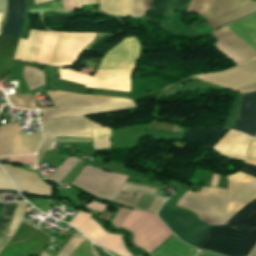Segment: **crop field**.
Instances as JSON below:
<instances>
[{
	"mask_svg": "<svg viewBox=\"0 0 256 256\" xmlns=\"http://www.w3.org/2000/svg\"><path fill=\"white\" fill-rule=\"evenodd\" d=\"M1 166L20 191L35 193L37 195L51 194V186L41 181L36 173L24 171L21 168L6 164H2Z\"/></svg>",
	"mask_w": 256,
	"mask_h": 256,
	"instance_id": "22f410ed",
	"label": "crop field"
},
{
	"mask_svg": "<svg viewBox=\"0 0 256 256\" xmlns=\"http://www.w3.org/2000/svg\"><path fill=\"white\" fill-rule=\"evenodd\" d=\"M91 123V132H92V140H93V148L103 149L110 148L111 143L109 140L111 129L98 124L92 120Z\"/></svg>",
	"mask_w": 256,
	"mask_h": 256,
	"instance_id": "730fd06b",
	"label": "crop field"
},
{
	"mask_svg": "<svg viewBox=\"0 0 256 256\" xmlns=\"http://www.w3.org/2000/svg\"><path fill=\"white\" fill-rule=\"evenodd\" d=\"M228 30L256 50V12L225 25ZM211 33L219 41L214 45L236 65L256 57V51L226 28Z\"/></svg>",
	"mask_w": 256,
	"mask_h": 256,
	"instance_id": "f4fd0767",
	"label": "crop field"
},
{
	"mask_svg": "<svg viewBox=\"0 0 256 256\" xmlns=\"http://www.w3.org/2000/svg\"><path fill=\"white\" fill-rule=\"evenodd\" d=\"M23 77L28 85L29 90L44 85V73L28 66H24Z\"/></svg>",
	"mask_w": 256,
	"mask_h": 256,
	"instance_id": "eef30255",
	"label": "crop field"
},
{
	"mask_svg": "<svg viewBox=\"0 0 256 256\" xmlns=\"http://www.w3.org/2000/svg\"><path fill=\"white\" fill-rule=\"evenodd\" d=\"M47 94L55 107L39 110V113L43 112V117L40 120L136 108L132 99L89 96L60 91H47Z\"/></svg>",
	"mask_w": 256,
	"mask_h": 256,
	"instance_id": "412701ff",
	"label": "crop field"
},
{
	"mask_svg": "<svg viewBox=\"0 0 256 256\" xmlns=\"http://www.w3.org/2000/svg\"><path fill=\"white\" fill-rule=\"evenodd\" d=\"M240 121L232 128L256 136V92L244 94L240 107Z\"/></svg>",
	"mask_w": 256,
	"mask_h": 256,
	"instance_id": "4a817a6b",
	"label": "crop field"
},
{
	"mask_svg": "<svg viewBox=\"0 0 256 256\" xmlns=\"http://www.w3.org/2000/svg\"><path fill=\"white\" fill-rule=\"evenodd\" d=\"M65 11H70L75 9L73 0H64ZM63 0H54L51 2L41 3L35 5L32 9H44V10H55L64 11Z\"/></svg>",
	"mask_w": 256,
	"mask_h": 256,
	"instance_id": "d3111659",
	"label": "crop field"
},
{
	"mask_svg": "<svg viewBox=\"0 0 256 256\" xmlns=\"http://www.w3.org/2000/svg\"><path fill=\"white\" fill-rule=\"evenodd\" d=\"M254 249V248H253ZM250 256H256V247L255 249L252 251V253L250 254Z\"/></svg>",
	"mask_w": 256,
	"mask_h": 256,
	"instance_id": "89e229c0",
	"label": "crop field"
},
{
	"mask_svg": "<svg viewBox=\"0 0 256 256\" xmlns=\"http://www.w3.org/2000/svg\"><path fill=\"white\" fill-rule=\"evenodd\" d=\"M18 40L17 38L0 34V73L12 63Z\"/></svg>",
	"mask_w": 256,
	"mask_h": 256,
	"instance_id": "a9b5d70f",
	"label": "crop field"
},
{
	"mask_svg": "<svg viewBox=\"0 0 256 256\" xmlns=\"http://www.w3.org/2000/svg\"><path fill=\"white\" fill-rule=\"evenodd\" d=\"M155 198L156 196L144 192L135 209L148 211Z\"/></svg>",
	"mask_w": 256,
	"mask_h": 256,
	"instance_id": "d32e631a",
	"label": "crop field"
},
{
	"mask_svg": "<svg viewBox=\"0 0 256 256\" xmlns=\"http://www.w3.org/2000/svg\"><path fill=\"white\" fill-rule=\"evenodd\" d=\"M131 211V209L123 208L121 207L120 211L116 215V217L113 219L112 223L113 225L118 228L123 219L128 215V213Z\"/></svg>",
	"mask_w": 256,
	"mask_h": 256,
	"instance_id": "b80d0937",
	"label": "crop field"
},
{
	"mask_svg": "<svg viewBox=\"0 0 256 256\" xmlns=\"http://www.w3.org/2000/svg\"><path fill=\"white\" fill-rule=\"evenodd\" d=\"M52 140L53 138H45L38 153H37V158H36V162H40L42 156L44 155L46 150L50 149V146L52 144Z\"/></svg>",
	"mask_w": 256,
	"mask_h": 256,
	"instance_id": "0bd39190",
	"label": "crop field"
},
{
	"mask_svg": "<svg viewBox=\"0 0 256 256\" xmlns=\"http://www.w3.org/2000/svg\"><path fill=\"white\" fill-rule=\"evenodd\" d=\"M134 66L114 69L96 70L93 77L59 68V79L86 84L85 87L129 91L130 75Z\"/></svg>",
	"mask_w": 256,
	"mask_h": 256,
	"instance_id": "d8731c3e",
	"label": "crop field"
},
{
	"mask_svg": "<svg viewBox=\"0 0 256 256\" xmlns=\"http://www.w3.org/2000/svg\"><path fill=\"white\" fill-rule=\"evenodd\" d=\"M12 106L24 109H37L31 94H17L7 96Z\"/></svg>",
	"mask_w": 256,
	"mask_h": 256,
	"instance_id": "ae1a2a85",
	"label": "crop field"
},
{
	"mask_svg": "<svg viewBox=\"0 0 256 256\" xmlns=\"http://www.w3.org/2000/svg\"><path fill=\"white\" fill-rule=\"evenodd\" d=\"M3 189H10L15 190L13 185L10 183L6 175L3 173V171L0 169V190Z\"/></svg>",
	"mask_w": 256,
	"mask_h": 256,
	"instance_id": "c035e120",
	"label": "crop field"
},
{
	"mask_svg": "<svg viewBox=\"0 0 256 256\" xmlns=\"http://www.w3.org/2000/svg\"><path fill=\"white\" fill-rule=\"evenodd\" d=\"M25 0H7V14L1 33L19 37L24 24Z\"/></svg>",
	"mask_w": 256,
	"mask_h": 256,
	"instance_id": "bc2a9ffb",
	"label": "crop field"
},
{
	"mask_svg": "<svg viewBox=\"0 0 256 256\" xmlns=\"http://www.w3.org/2000/svg\"><path fill=\"white\" fill-rule=\"evenodd\" d=\"M46 1H51V0H35V4L41 3V2H46Z\"/></svg>",
	"mask_w": 256,
	"mask_h": 256,
	"instance_id": "73cf0c24",
	"label": "crop field"
},
{
	"mask_svg": "<svg viewBox=\"0 0 256 256\" xmlns=\"http://www.w3.org/2000/svg\"><path fill=\"white\" fill-rule=\"evenodd\" d=\"M97 33L40 32L30 29L26 40H19L14 59L49 66H70L79 52Z\"/></svg>",
	"mask_w": 256,
	"mask_h": 256,
	"instance_id": "ac0d7876",
	"label": "crop field"
},
{
	"mask_svg": "<svg viewBox=\"0 0 256 256\" xmlns=\"http://www.w3.org/2000/svg\"><path fill=\"white\" fill-rule=\"evenodd\" d=\"M227 189L204 187L199 193L187 191L177 206L196 213L199 220L213 226L224 225ZM252 230L228 226H213L197 248L240 256Z\"/></svg>",
	"mask_w": 256,
	"mask_h": 256,
	"instance_id": "8a807250",
	"label": "crop field"
},
{
	"mask_svg": "<svg viewBox=\"0 0 256 256\" xmlns=\"http://www.w3.org/2000/svg\"><path fill=\"white\" fill-rule=\"evenodd\" d=\"M165 200H166V199L160 198V197L157 196L156 200L154 201V203L152 204L151 208L149 209V212L157 213L159 207L161 206V204H162Z\"/></svg>",
	"mask_w": 256,
	"mask_h": 256,
	"instance_id": "03da06ac",
	"label": "crop field"
},
{
	"mask_svg": "<svg viewBox=\"0 0 256 256\" xmlns=\"http://www.w3.org/2000/svg\"><path fill=\"white\" fill-rule=\"evenodd\" d=\"M250 2L252 0H191L187 11L202 15L210 23Z\"/></svg>",
	"mask_w": 256,
	"mask_h": 256,
	"instance_id": "d1516ede",
	"label": "crop field"
},
{
	"mask_svg": "<svg viewBox=\"0 0 256 256\" xmlns=\"http://www.w3.org/2000/svg\"><path fill=\"white\" fill-rule=\"evenodd\" d=\"M2 16H3V14H0V27H1V22H2Z\"/></svg>",
	"mask_w": 256,
	"mask_h": 256,
	"instance_id": "1f2cbd36",
	"label": "crop field"
},
{
	"mask_svg": "<svg viewBox=\"0 0 256 256\" xmlns=\"http://www.w3.org/2000/svg\"><path fill=\"white\" fill-rule=\"evenodd\" d=\"M159 218L175 233L179 239L196 247L211 226L176 210L164 209Z\"/></svg>",
	"mask_w": 256,
	"mask_h": 256,
	"instance_id": "5a996713",
	"label": "crop field"
},
{
	"mask_svg": "<svg viewBox=\"0 0 256 256\" xmlns=\"http://www.w3.org/2000/svg\"><path fill=\"white\" fill-rule=\"evenodd\" d=\"M90 215L79 211L76 216L73 218L70 224L74 225L75 227L79 228L88 218Z\"/></svg>",
	"mask_w": 256,
	"mask_h": 256,
	"instance_id": "e1f06a70",
	"label": "crop field"
},
{
	"mask_svg": "<svg viewBox=\"0 0 256 256\" xmlns=\"http://www.w3.org/2000/svg\"><path fill=\"white\" fill-rule=\"evenodd\" d=\"M133 235V243L148 253L172 233L155 214L132 210L120 225Z\"/></svg>",
	"mask_w": 256,
	"mask_h": 256,
	"instance_id": "dd49c442",
	"label": "crop field"
},
{
	"mask_svg": "<svg viewBox=\"0 0 256 256\" xmlns=\"http://www.w3.org/2000/svg\"><path fill=\"white\" fill-rule=\"evenodd\" d=\"M240 171H242L248 175H252V176L256 177V166H254V165L244 163V165L241 167Z\"/></svg>",
	"mask_w": 256,
	"mask_h": 256,
	"instance_id": "c21b1889",
	"label": "crop field"
},
{
	"mask_svg": "<svg viewBox=\"0 0 256 256\" xmlns=\"http://www.w3.org/2000/svg\"><path fill=\"white\" fill-rule=\"evenodd\" d=\"M87 207L92 208V209L100 212L103 209H105L107 206H104V205H102L100 203L93 202V203L87 205Z\"/></svg>",
	"mask_w": 256,
	"mask_h": 256,
	"instance_id": "b54c1fbb",
	"label": "crop field"
},
{
	"mask_svg": "<svg viewBox=\"0 0 256 256\" xmlns=\"http://www.w3.org/2000/svg\"><path fill=\"white\" fill-rule=\"evenodd\" d=\"M79 230L101 247H104L119 256H132L126 251L120 235L108 234L90 218Z\"/></svg>",
	"mask_w": 256,
	"mask_h": 256,
	"instance_id": "cbeb9de0",
	"label": "crop field"
},
{
	"mask_svg": "<svg viewBox=\"0 0 256 256\" xmlns=\"http://www.w3.org/2000/svg\"><path fill=\"white\" fill-rule=\"evenodd\" d=\"M128 176L85 166L71 183L102 198L113 200Z\"/></svg>",
	"mask_w": 256,
	"mask_h": 256,
	"instance_id": "e52e79f7",
	"label": "crop field"
},
{
	"mask_svg": "<svg viewBox=\"0 0 256 256\" xmlns=\"http://www.w3.org/2000/svg\"><path fill=\"white\" fill-rule=\"evenodd\" d=\"M26 206H27L26 203H17L16 209L14 211L6 236L13 237L14 233L16 232V230L18 229V227L20 226L24 218Z\"/></svg>",
	"mask_w": 256,
	"mask_h": 256,
	"instance_id": "750c4746",
	"label": "crop field"
},
{
	"mask_svg": "<svg viewBox=\"0 0 256 256\" xmlns=\"http://www.w3.org/2000/svg\"><path fill=\"white\" fill-rule=\"evenodd\" d=\"M245 162L256 165V139L249 145L248 156Z\"/></svg>",
	"mask_w": 256,
	"mask_h": 256,
	"instance_id": "028f5c9d",
	"label": "crop field"
},
{
	"mask_svg": "<svg viewBox=\"0 0 256 256\" xmlns=\"http://www.w3.org/2000/svg\"><path fill=\"white\" fill-rule=\"evenodd\" d=\"M254 139L248 135L230 130L212 150L239 160H244L249 142Z\"/></svg>",
	"mask_w": 256,
	"mask_h": 256,
	"instance_id": "d9b57169",
	"label": "crop field"
},
{
	"mask_svg": "<svg viewBox=\"0 0 256 256\" xmlns=\"http://www.w3.org/2000/svg\"><path fill=\"white\" fill-rule=\"evenodd\" d=\"M152 0H99L104 12L120 16H144Z\"/></svg>",
	"mask_w": 256,
	"mask_h": 256,
	"instance_id": "733c2abd",
	"label": "crop field"
},
{
	"mask_svg": "<svg viewBox=\"0 0 256 256\" xmlns=\"http://www.w3.org/2000/svg\"><path fill=\"white\" fill-rule=\"evenodd\" d=\"M15 205H3L2 216H0V236H5Z\"/></svg>",
	"mask_w": 256,
	"mask_h": 256,
	"instance_id": "1d83c4d3",
	"label": "crop field"
},
{
	"mask_svg": "<svg viewBox=\"0 0 256 256\" xmlns=\"http://www.w3.org/2000/svg\"><path fill=\"white\" fill-rule=\"evenodd\" d=\"M196 256H222V255L213 254V253H209V252H205V251H200V253Z\"/></svg>",
	"mask_w": 256,
	"mask_h": 256,
	"instance_id": "425ffa30",
	"label": "crop field"
},
{
	"mask_svg": "<svg viewBox=\"0 0 256 256\" xmlns=\"http://www.w3.org/2000/svg\"><path fill=\"white\" fill-rule=\"evenodd\" d=\"M225 177L228 178L225 221H229L256 203V179L240 171ZM225 224L254 229L242 254L248 256L256 242V205L249 207Z\"/></svg>",
	"mask_w": 256,
	"mask_h": 256,
	"instance_id": "34b2d1b8",
	"label": "crop field"
},
{
	"mask_svg": "<svg viewBox=\"0 0 256 256\" xmlns=\"http://www.w3.org/2000/svg\"><path fill=\"white\" fill-rule=\"evenodd\" d=\"M255 11H256V1L210 23V25L214 29H217L229 22H232L236 19H239ZM210 25L204 19H202L196 22L195 24L191 25L190 27H192L198 33L203 35V34L214 31V29Z\"/></svg>",
	"mask_w": 256,
	"mask_h": 256,
	"instance_id": "214f88e0",
	"label": "crop field"
},
{
	"mask_svg": "<svg viewBox=\"0 0 256 256\" xmlns=\"http://www.w3.org/2000/svg\"><path fill=\"white\" fill-rule=\"evenodd\" d=\"M77 159L68 157L63 164L57 168L49 177L48 179L58 182L61 180L67 172L71 169V167L76 163Z\"/></svg>",
	"mask_w": 256,
	"mask_h": 256,
	"instance_id": "bd1437ed",
	"label": "crop field"
},
{
	"mask_svg": "<svg viewBox=\"0 0 256 256\" xmlns=\"http://www.w3.org/2000/svg\"><path fill=\"white\" fill-rule=\"evenodd\" d=\"M226 130L218 128L193 129L183 134L181 138L213 147Z\"/></svg>",
	"mask_w": 256,
	"mask_h": 256,
	"instance_id": "dafd665d",
	"label": "crop field"
},
{
	"mask_svg": "<svg viewBox=\"0 0 256 256\" xmlns=\"http://www.w3.org/2000/svg\"><path fill=\"white\" fill-rule=\"evenodd\" d=\"M85 238L72 236L57 256H70L83 242ZM41 256H48L44 251Z\"/></svg>",
	"mask_w": 256,
	"mask_h": 256,
	"instance_id": "120bbe31",
	"label": "crop field"
},
{
	"mask_svg": "<svg viewBox=\"0 0 256 256\" xmlns=\"http://www.w3.org/2000/svg\"><path fill=\"white\" fill-rule=\"evenodd\" d=\"M41 138L42 133L21 134L22 145H38Z\"/></svg>",
	"mask_w": 256,
	"mask_h": 256,
	"instance_id": "5866460e",
	"label": "crop field"
},
{
	"mask_svg": "<svg viewBox=\"0 0 256 256\" xmlns=\"http://www.w3.org/2000/svg\"><path fill=\"white\" fill-rule=\"evenodd\" d=\"M143 191L151 194H153L154 192L153 189L125 183L123 188L121 189V191L118 193V195L115 197L113 201L134 208ZM122 192H125V194H123ZM156 192L157 190H155L154 193L156 194ZM128 193H131V194H128ZM134 194H136V196Z\"/></svg>",
	"mask_w": 256,
	"mask_h": 256,
	"instance_id": "00972430",
	"label": "crop field"
},
{
	"mask_svg": "<svg viewBox=\"0 0 256 256\" xmlns=\"http://www.w3.org/2000/svg\"><path fill=\"white\" fill-rule=\"evenodd\" d=\"M218 176H219L218 173H214V172H213V178H212V184H211V186H216L217 180H218Z\"/></svg>",
	"mask_w": 256,
	"mask_h": 256,
	"instance_id": "25e5ab78",
	"label": "crop field"
},
{
	"mask_svg": "<svg viewBox=\"0 0 256 256\" xmlns=\"http://www.w3.org/2000/svg\"><path fill=\"white\" fill-rule=\"evenodd\" d=\"M45 137L70 136L91 138L89 119L85 116L42 121Z\"/></svg>",
	"mask_w": 256,
	"mask_h": 256,
	"instance_id": "28ad6ade",
	"label": "crop field"
},
{
	"mask_svg": "<svg viewBox=\"0 0 256 256\" xmlns=\"http://www.w3.org/2000/svg\"><path fill=\"white\" fill-rule=\"evenodd\" d=\"M76 7H81L84 4H97L96 0H75Z\"/></svg>",
	"mask_w": 256,
	"mask_h": 256,
	"instance_id": "5d738f31",
	"label": "crop field"
},
{
	"mask_svg": "<svg viewBox=\"0 0 256 256\" xmlns=\"http://www.w3.org/2000/svg\"><path fill=\"white\" fill-rule=\"evenodd\" d=\"M195 77L241 93L253 91L256 90V59L225 72Z\"/></svg>",
	"mask_w": 256,
	"mask_h": 256,
	"instance_id": "3316defc",
	"label": "crop field"
},
{
	"mask_svg": "<svg viewBox=\"0 0 256 256\" xmlns=\"http://www.w3.org/2000/svg\"><path fill=\"white\" fill-rule=\"evenodd\" d=\"M38 146H21L18 122L0 126V156L36 152Z\"/></svg>",
	"mask_w": 256,
	"mask_h": 256,
	"instance_id": "5142ce71",
	"label": "crop field"
},
{
	"mask_svg": "<svg viewBox=\"0 0 256 256\" xmlns=\"http://www.w3.org/2000/svg\"><path fill=\"white\" fill-rule=\"evenodd\" d=\"M11 238H0V252L5 245L10 241Z\"/></svg>",
	"mask_w": 256,
	"mask_h": 256,
	"instance_id": "d23c7cc5",
	"label": "crop field"
},
{
	"mask_svg": "<svg viewBox=\"0 0 256 256\" xmlns=\"http://www.w3.org/2000/svg\"><path fill=\"white\" fill-rule=\"evenodd\" d=\"M197 250L183 244L174 235L157 248L150 256H194Z\"/></svg>",
	"mask_w": 256,
	"mask_h": 256,
	"instance_id": "92a150f3",
	"label": "crop field"
},
{
	"mask_svg": "<svg viewBox=\"0 0 256 256\" xmlns=\"http://www.w3.org/2000/svg\"><path fill=\"white\" fill-rule=\"evenodd\" d=\"M190 0H153V12L171 17L176 12H186Z\"/></svg>",
	"mask_w": 256,
	"mask_h": 256,
	"instance_id": "4177f3b9",
	"label": "crop field"
}]
</instances>
